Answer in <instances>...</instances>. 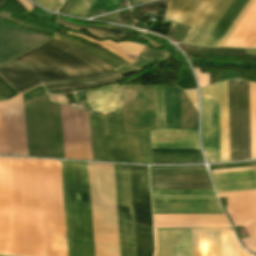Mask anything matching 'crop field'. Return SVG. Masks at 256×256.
<instances>
[{
	"mask_svg": "<svg viewBox=\"0 0 256 256\" xmlns=\"http://www.w3.org/2000/svg\"><path fill=\"white\" fill-rule=\"evenodd\" d=\"M218 193L256 189V170L212 175Z\"/></svg>",
	"mask_w": 256,
	"mask_h": 256,
	"instance_id": "92a150f3",
	"label": "crop field"
},
{
	"mask_svg": "<svg viewBox=\"0 0 256 256\" xmlns=\"http://www.w3.org/2000/svg\"><path fill=\"white\" fill-rule=\"evenodd\" d=\"M158 129L165 128V112L162 87H154Z\"/></svg>",
	"mask_w": 256,
	"mask_h": 256,
	"instance_id": "120bbe31",
	"label": "crop field"
},
{
	"mask_svg": "<svg viewBox=\"0 0 256 256\" xmlns=\"http://www.w3.org/2000/svg\"><path fill=\"white\" fill-rule=\"evenodd\" d=\"M152 148L200 149L198 132L185 130L150 131Z\"/></svg>",
	"mask_w": 256,
	"mask_h": 256,
	"instance_id": "bc2a9ffb",
	"label": "crop field"
},
{
	"mask_svg": "<svg viewBox=\"0 0 256 256\" xmlns=\"http://www.w3.org/2000/svg\"><path fill=\"white\" fill-rule=\"evenodd\" d=\"M158 254L157 256H192L191 229H157ZM157 235L154 229L157 253Z\"/></svg>",
	"mask_w": 256,
	"mask_h": 256,
	"instance_id": "733c2abd",
	"label": "crop field"
},
{
	"mask_svg": "<svg viewBox=\"0 0 256 256\" xmlns=\"http://www.w3.org/2000/svg\"><path fill=\"white\" fill-rule=\"evenodd\" d=\"M255 167H245V168H235V169H225V170H215V171H211L212 174H216V173H226V172H235V171H245V170H255Z\"/></svg>",
	"mask_w": 256,
	"mask_h": 256,
	"instance_id": "d23c7cc5",
	"label": "crop field"
},
{
	"mask_svg": "<svg viewBox=\"0 0 256 256\" xmlns=\"http://www.w3.org/2000/svg\"><path fill=\"white\" fill-rule=\"evenodd\" d=\"M154 228L230 227L225 215H153Z\"/></svg>",
	"mask_w": 256,
	"mask_h": 256,
	"instance_id": "4a817a6b",
	"label": "crop field"
},
{
	"mask_svg": "<svg viewBox=\"0 0 256 256\" xmlns=\"http://www.w3.org/2000/svg\"><path fill=\"white\" fill-rule=\"evenodd\" d=\"M171 53L168 48L161 51H154L147 47L144 52L141 54L140 58L146 59L148 61H155L157 59L163 60L169 57Z\"/></svg>",
	"mask_w": 256,
	"mask_h": 256,
	"instance_id": "028f5c9d",
	"label": "crop field"
},
{
	"mask_svg": "<svg viewBox=\"0 0 256 256\" xmlns=\"http://www.w3.org/2000/svg\"><path fill=\"white\" fill-rule=\"evenodd\" d=\"M184 93L189 98V100L191 101V103L194 105V107L196 108V110L198 112V94H197V91L196 90H187V91H184Z\"/></svg>",
	"mask_w": 256,
	"mask_h": 256,
	"instance_id": "5d738f31",
	"label": "crop field"
},
{
	"mask_svg": "<svg viewBox=\"0 0 256 256\" xmlns=\"http://www.w3.org/2000/svg\"><path fill=\"white\" fill-rule=\"evenodd\" d=\"M201 140L208 163L220 162L218 83L201 90Z\"/></svg>",
	"mask_w": 256,
	"mask_h": 256,
	"instance_id": "d1516ede",
	"label": "crop field"
},
{
	"mask_svg": "<svg viewBox=\"0 0 256 256\" xmlns=\"http://www.w3.org/2000/svg\"><path fill=\"white\" fill-rule=\"evenodd\" d=\"M239 245L233 231L222 229V256H250Z\"/></svg>",
	"mask_w": 256,
	"mask_h": 256,
	"instance_id": "bd1437ed",
	"label": "crop field"
},
{
	"mask_svg": "<svg viewBox=\"0 0 256 256\" xmlns=\"http://www.w3.org/2000/svg\"><path fill=\"white\" fill-rule=\"evenodd\" d=\"M85 94L88 105L93 109V112L114 110V99L117 97V92L114 86L86 92Z\"/></svg>",
	"mask_w": 256,
	"mask_h": 256,
	"instance_id": "4177f3b9",
	"label": "crop field"
},
{
	"mask_svg": "<svg viewBox=\"0 0 256 256\" xmlns=\"http://www.w3.org/2000/svg\"><path fill=\"white\" fill-rule=\"evenodd\" d=\"M58 24L64 25L72 30L78 31L80 28L84 27L88 31L91 32L92 35L97 37H113L114 39H121L123 30L122 28L118 27H104V26H91V25H81L69 22L64 20L60 17L57 18Z\"/></svg>",
	"mask_w": 256,
	"mask_h": 256,
	"instance_id": "d3111659",
	"label": "crop field"
},
{
	"mask_svg": "<svg viewBox=\"0 0 256 256\" xmlns=\"http://www.w3.org/2000/svg\"><path fill=\"white\" fill-rule=\"evenodd\" d=\"M152 153H201L200 150L152 149Z\"/></svg>",
	"mask_w": 256,
	"mask_h": 256,
	"instance_id": "c21b1889",
	"label": "crop field"
},
{
	"mask_svg": "<svg viewBox=\"0 0 256 256\" xmlns=\"http://www.w3.org/2000/svg\"><path fill=\"white\" fill-rule=\"evenodd\" d=\"M0 254L17 255L10 158L0 157Z\"/></svg>",
	"mask_w": 256,
	"mask_h": 256,
	"instance_id": "28ad6ade",
	"label": "crop field"
},
{
	"mask_svg": "<svg viewBox=\"0 0 256 256\" xmlns=\"http://www.w3.org/2000/svg\"><path fill=\"white\" fill-rule=\"evenodd\" d=\"M250 48H256V39H255V41L253 42V44L250 46Z\"/></svg>",
	"mask_w": 256,
	"mask_h": 256,
	"instance_id": "dbb93151",
	"label": "crop field"
},
{
	"mask_svg": "<svg viewBox=\"0 0 256 256\" xmlns=\"http://www.w3.org/2000/svg\"><path fill=\"white\" fill-rule=\"evenodd\" d=\"M119 0H94L90 9L116 10Z\"/></svg>",
	"mask_w": 256,
	"mask_h": 256,
	"instance_id": "e1f06a70",
	"label": "crop field"
},
{
	"mask_svg": "<svg viewBox=\"0 0 256 256\" xmlns=\"http://www.w3.org/2000/svg\"><path fill=\"white\" fill-rule=\"evenodd\" d=\"M141 70L142 69H140V68H138V67L133 65L131 67H128V68H125V69L121 70L120 72H121V74L123 76H125V75H129V74L137 73V72H139Z\"/></svg>",
	"mask_w": 256,
	"mask_h": 256,
	"instance_id": "25e5ab78",
	"label": "crop field"
},
{
	"mask_svg": "<svg viewBox=\"0 0 256 256\" xmlns=\"http://www.w3.org/2000/svg\"><path fill=\"white\" fill-rule=\"evenodd\" d=\"M221 162L229 161L227 81L219 83Z\"/></svg>",
	"mask_w": 256,
	"mask_h": 256,
	"instance_id": "a9b5d70f",
	"label": "crop field"
},
{
	"mask_svg": "<svg viewBox=\"0 0 256 256\" xmlns=\"http://www.w3.org/2000/svg\"><path fill=\"white\" fill-rule=\"evenodd\" d=\"M246 54H248V55H256V50H246Z\"/></svg>",
	"mask_w": 256,
	"mask_h": 256,
	"instance_id": "1f2cbd36",
	"label": "crop field"
},
{
	"mask_svg": "<svg viewBox=\"0 0 256 256\" xmlns=\"http://www.w3.org/2000/svg\"><path fill=\"white\" fill-rule=\"evenodd\" d=\"M0 108L5 154L27 156L22 95Z\"/></svg>",
	"mask_w": 256,
	"mask_h": 256,
	"instance_id": "22f410ed",
	"label": "crop field"
},
{
	"mask_svg": "<svg viewBox=\"0 0 256 256\" xmlns=\"http://www.w3.org/2000/svg\"><path fill=\"white\" fill-rule=\"evenodd\" d=\"M252 159H256V84L249 82Z\"/></svg>",
	"mask_w": 256,
	"mask_h": 256,
	"instance_id": "1d83c4d3",
	"label": "crop field"
},
{
	"mask_svg": "<svg viewBox=\"0 0 256 256\" xmlns=\"http://www.w3.org/2000/svg\"><path fill=\"white\" fill-rule=\"evenodd\" d=\"M112 71L116 69L57 37L0 65V77L18 94L42 82L89 78Z\"/></svg>",
	"mask_w": 256,
	"mask_h": 256,
	"instance_id": "ac0d7876",
	"label": "crop field"
},
{
	"mask_svg": "<svg viewBox=\"0 0 256 256\" xmlns=\"http://www.w3.org/2000/svg\"><path fill=\"white\" fill-rule=\"evenodd\" d=\"M0 154H4L3 139H2V129H1V118H0Z\"/></svg>",
	"mask_w": 256,
	"mask_h": 256,
	"instance_id": "73cf0c24",
	"label": "crop field"
},
{
	"mask_svg": "<svg viewBox=\"0 0 256 256\" xmlns=\"http://www.w3.org/2000/svg\"><path fill=\"white\" fill-rule=\"evenodd\" d=\"M15 95H17V94L6 83H4L0 79V97L9 99ZM4 98H0V101L7 100Z\"/></svg>",
	"mask_w": 256,
	"mask_h": 256,
	"instance_id": "b80d0937",
	"label": "crop field"
},
{
	"mask_svg": "<svg viewBox=\"0 0 256 256\" xmlns=\"http://www.w3.org/2000/svg\"><path fill=\"white\" fill-rule=\"evenodd\" d=\"M198 79L199 87H203L210 84L209 74L200 73L201 69L194 68Z\"/></svg>",
	"mask_w": 256,
	"mask_h": 256,
	"instance_id": "c035e120",
	"label": "crop field"
},
{
	"mask_svg": "<svg viewBox=\"0 0 256 256\" xmlns=\"http://www.w3.org/2000/svg\"><path fill=\"white\" fill-rule=\"evenodd\" d=\"M226 197V207L235 227L244 226L249 238L242 239L247 249L256 253V190L218 194Z\"/></svg>",
	"mask_w": 256,
	"mask_h": 256,
	"instance_id": "5142ce71",
	"label": "crop field"
},
{
	"mask_svg": "<svg viewBox=\"0 0 256 256\" xmlns=\"http://www.w3.org/2000/svg\"><path fill=\"white\" fill-rule=\"evenodd\" d=\"M120 256H152L147 167L114 165Z\"/></svg>",
	"mask_w": 256,
	"mask_h": 256,
	"instance_id": "34b2d1b8",
	"label": "crop field"
},
{
	"mask_svg": "<svg viewBox=\"0 0 256 256\" xmlns=\"http://www.w3.org/2000/svg\"><path fill=\"white\" fill-rule=\"evenodd\" d=\"M34 1L50 10L59 0H34Z\"/></svg>",
	"mask_w": 256,
	"mask_h": 256,
	"instance_id": "425ffa30",
	"label": "crop field"
},
{
	"mask_svg": "<svg viewBox=\"0 0 256 256\" xmlns=\"http://www.w3.org/2000/svg\"><path fill=\"white\" fill-rule=\"evenodd\" d=\"M248 0H232L201 45L217 46Z\"/></svg>",
	"mask_w": 256,
	"mask_h": 256,
	"instance_id": "dafd665d",
	"label": "crop field"
},
{
	"mask_svg": "<svg viewBox=\"0 0 256 256\" xmlns=\"http://www.w3.org/2000/svg\"><path fill=\"white\" fill-rule=\"evenodd\" d=\"M231 0H170L166 19L192 27L183 43L200 45Z\"/></svg>",
	"mask_w": 256,
	"mask_h": 256,
	"instance_id": "e52e79f7",
	"label": "crop field"
},
{
	"mask_svg": "<svg viewBox=\"0 0 256 256\" xmlns=\"http://www.w3.org/2000/svg\"><path fill=\"white\" fill-rule=\"evenodd\" d=\"M153 214H224L217 199L152 200Z\"/></svg>",
	"mask_w": 256,
	"mask_h": 256,
	"instance_id": "d9b57169",
	"label": "crop field"
},
{
	"mask_svg": "<svg viewBox=\"0 0 256 256\" xmlns=\"http://www.w3.org/2000/svg\"><path fill=\"white\" fill-rule=\"evenodd\" d=\"M219 199H220V201H221L223 207L227 205V203H226V201H225V198H219ZM224 209H225V208H224ZM225 211H226V210H225ZM226 213H227V212H226ZM227 215H228V214H227ZM228 218H229V216H228ZM229 220H230V218H229ZM230 222H231V220H230ZM231 224H232V222H231ZM232 226H233V224H232ZM238 228H239V226L236 227V228H234L235 232H238V231H239Z\"/></svg>",
	"mask_w": 256,
	"mask_h": 256,
	"instance_id": "89e229c0",
	"label": "crop field"
},
{
	"mask_svg": "<svg viewBox=\"0 0 256 256\" xmlns=\"http://www.w3.org/2000/svg\"><path fill=\"white\" fill-rule=\"evenodd\" d=\"M65 158L92 160L88 113L61 106Z\"/></svg>",
	"mask_w": 256,
	"mask_h": 256,
	"instance_id": "3316defc",
	"label": "crop field"
},
{
	"mask_svg": "<svg viewBox=\"0 0 256 256\" xmlns=\"http://www.w3.org/2000/svg\"><path fill=\"white\" fill-rule=\"evenodd\" d=\"M68 34L89 40L91 42H94L130 63H133V61L136 59V57L142 52V50L145 47L144 45H140V44H136V43H132V42H120L118 44L112 43L110 41L97 42V41L91 40L85 36L77 35V34L70 33V32H68ZM128 53L136 56L135 59H134V56H132ZM126 54H128L127 56L133 58L134 60L126 57L125 56Z\"/></svg>",
	"mask_w": 256,
	"mask_h": 256,
	"instance_id": "730fd06b",
	"label": "crop field"
},
{
	"mask_svg": "<svg viewBox=\"0 0 256 256\" xmlns=\"http://www.w3.org/2000/svg\"><path fill=\"white\" fill-rule=\"evenodd\" d=\"M254 2V0H249L248 3L246 4V6L244 7V9L241 11V13L239 14V16L237 17V19L234 21V23L232 24V26L230 27V29L227 31V33L225 34V36L223 37V39L220 41V43L218 44V46H223V44L226 42V40L228 39V37L230 36V34L233 32V30L235 29V27L238 25V23L240 22V20L242 19V17L245 15V13L247 12V10L249 9V7L252 5V3Z\"/></svg>",
	"mask_w": 256,
	"mask_h": 256,
	"instance_id": "0bd39190",
	"label": "crop field"
},
{
	"mask_svg": "<svg viewBox=\"0 0 256 256\" xmlns=\"http://www.w3.org/2000/svg\"><path fill=\"white\" fill-rule=\"evenodd\" d=\"M126 132L157 129L153 87H118Z\"/></svg>",
	"mask_w": 256,
	"mask_h": 256,
	"instance_id": "5a996713",
	"label": "crop field"
},
{
	"mask_svg": "<svg viewBox=\"0 0 256 256\" xmlns=\"http://www.w3.org/2000/svg\"><path fill=\"white\" fill-rule=\"evenodd\" d=\"M256 22V0L248 10L246 15L243 17L239 25L236 27L234 32L231 34L227 42L224 44L226 47H239L241 42L244 40L250 29Z\"/></svg>",
	"mask_w": 256,
	"mask_h": 256,
	"instance_id": "ae1a2a85",
	"label": "crop field"
},
{
	"mask_svg": "<svg viewBox=\"0 0 256 256\" xmlns=\"http://www.w3.org/2000/svg\"><path fill=\"white\" fill-rule=\"evenodd\" d=\"M181 95V121L182 129L198 130V115L193 105L185 94L180 90Z\"/></svg>",
	"mask_w": 256,
	"mask_h": 256,
	"instance_id": "750c4746",
	"label": "crop field"
},
{
	"mask_svg": "<svg viewBox=\"0 0 256 256\" xmlns=\"http://www.w3.org/2000/svg\"><path fill=\"white\" fill-rule=\"evenodd\" d=\"M55 36L65 40L66 42L76 46L77 48L87 52L88 54L96 57L97 59L107 63L108 65L120 70L128 65L129 63L123 61L122 59L112 55L111 53L97 47L94 45H91L89 43L83 42L79 39H75L69 36L61 35V34H55Z\"/></svg>",
	"mask_w": 256,
	"mask_h": 256,
	"instance_id": "00972430",
	"label": "crop field"
},
{
	"mask_svg": "<svg viewBox=\"0 0 256 256\" xmlns=\"http://www.w3.org/2000/svg\"><path fill=\"white\" fill-rule=\"evenodd\" d=\"M230 161L251 159L248 82L228 81Z\"/></svg>",
	"mask_w": 256,
	"mask_h": 256,
	"instance_id": "d8731c3e",
	"label": "crop field"
},
{
	"mask_svg": "<svg viewBox=\"0 0 256 256\" xmlns=\"http://www.w3.org/2000/svg\"><path fill=\"white\" fill-rule=\"evenodd\" d=\"M95 256H119L113 165L88 163Z\"/></svg>",
	"mask_w": 256,
	"mask_h": 256,
	"instance_id": "dd49c442",
	"label": "crop field"
},
{
	"mask_svg": "<svg viewBox=\"0 0 256 256\" xmlns=\"http://www.w3.org/2000/svg\"><path fill=\"white\" fill-rule=\"evenodd\" d=\"M68 256H94L87 163L61 161Z\"/></svg>",
	"mask_w": 256,
	"mask_h": 256,
	"instance_id": "412701ff",
	"label": "crop field"
},
{
	"mask_svg": "<svg viewBox=\"0 0 256 256\" xmlns=\"http://www.w3.org/2000/svg\"><path fill=\"white\" fill-rule=\"evenodd\" d=\"M193 256H221V229H192Z\"/></svg>",
	"mask_w": 256,
	"mask_h": 256,
	"instance_id": "214f88e0",
	"label": "crop field"
},
{
	"mask_svg": "<svg viewBox=\"0 0 256 256\" xmlns=\"http://www.w3.org/2000/svg\"><path fill=\"white\" fill-rule=\"evenodd\" d=\"M217 198L216 196H152V199Z\"/></svg>",
	"mask_w": 256,
	"mask_h": 256,
	"instance_id": "b54c1fbb",
	"label": "crop field"
},
{
	"mask_svg": "<svg viewBox=\"0 0 256 256\" xmlns=\"http://www.w3.org/2000/svg\"><path fill=\"white\" fill-rule=\"evenodd\" d=\"M116 115L90 118L93 160L151 164L148 130L125 133L122 106Z\"/></svg>",
	"mask_w": 256,
	"mask_h": 256,
	"instance_id": "f4fd0767",
	"label": "crop field"
},
{
	"mask_svg": "<svg viewBox=\"0 0 256 256\" xmlns=\"http://www.w3.org/2000/svg\"><path fill=\"white\" fill-rule=\"evenodd\" d=\"M11 164L18 255L67 256L60 161Z\"/></svg>",
	"mask_w": 256,
	"mask_h": 256,
	"instance_id": "8a807250",
	"label": "crop field"
},
{
	"mask_svg": "<svg viewBox=\"0 0 256 256\" xmlns=\"http://www.w3.org/2000/svg\"><path fill=\"white\" fill-rule=\"evenodd\" d=\"M140 1H144V2H147V1H151V0H140Z\"/></svg>",
	"mask_w": 256,
	"mask_h": 256,
	"instance_id": "0fb4a251",
	"label": "crop field"
},
{
	"mask_svg": "<svg viewBox=\"0 0 256 256\" xmlns=\"http://www.w3.org/2000/svg\"><path fill=\"white\" fill-rule=\"evenodd\" d=\"M93 0H75L68 15L85 18Z\"/></svg>",
	"mask_w": 256,
	"mask_h": 256,
	"instance_id": "d32e631a",
	"label": "crop field"
},
{
	"mask_svg": "<svg viewBox=\"0 0 256 256\" xmlns=\"http://www.w3.org/2000/svg\"><path fill=\"white\" fill-rule=\"evenodd\" d=\"M152 195H215L213 190L151 191Z\"/></svg>",
	"mask_w": 256,
	"mask_h": 256,
	"instance_id": "5866460e",
	"label": "crop field"
},
{
	"mask_svg": "<svg viewBox=\"0 0 256 256\" xmlns=\"http://www.w3.org/2000/svg\"><path fill=\"white\" fill-rule=\"evenodd\" d=\"M151 190L213 189L206 169H150Z\"/></svg>",
	"mask_w": 256,
	"mask_h": 256,
	"instance_id": "cbeb9de0",
	"label": "crop field"
},
{
	"mask_svg": "<svg viewBox=\"0 0 256 256\" xmlns=\"http://www.w3.org/2000/svg\"><path fill=\"white\" fill-rule=\"evenodd\" d=\"M255 38H256V24L251 29V31L249 32V34L247 35L245 40L242 42L240 47H247V48H249V46L252 44V42L254 41Z\"/></svg>",
	"mask_w": 256,
	"mask_h": 256,
	"instance_id": "03da06ac",
	"label": "crop field"
},
{
	"mask_svg": "<svg viewBox=\"0 0 256 256\" xmlns=\"http://www.w3.org/2000/svg\"><path fill=\"white\" fill-rule=\"evenodd\" d=\"M122 75L118 72L112 75H108L102 78L90 80V81H66L53 84H44L47 91L50 90H68V89H80L86 87L100 86L122 79Z\"/></svg>",
	"mask_w": 256,
	"mask_h": 256,
	"instance_id": "eef30255",
	"label": "crop field"
}]
</instances>
